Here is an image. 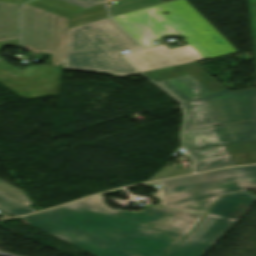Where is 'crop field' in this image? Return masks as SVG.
<instances>
[{
    "label": "crop field",
    "instance_id": "21",
    "mask_svg": "<svg viewBox=\"0 0 256 256\" xmlns=\"http://www.w3.org/2000/svg\"><path fill=\"white\" fill-rule=\"evenodd\" d=\"M0 1L20 4L28 0H0Z\"/></svg>",
    "mask_w": 256,
    "mask_h": 256
},
{
    "label": "crop field",
    "instance_id": "6",
    "mask_svg": "<svg viewBox=\"0 0 256 256\" xmlns=\"http://www.w3.org/2000/svg\"><path fill=\"white\" fill-rule=\"evenodd\" d=\"M183 138L196 172L256 163V121L186 130Z\"/></svg>",
    "mask_w": 256,
    "mask_h": 256
},
{
    "label": "crop field",
    "instance_id": "19",
    "mask_svg": "<svg viewBox=\"0 0 256 256\" xmlns=\"http://www.w3.org/2000/svg\"><path fill=\"white\" fill-rule=\"evenodd\" d=\"M63 1L75 4V5L83 7V8L102 4L101 0H63ZM93 1H95V2H93Z\"/></svg>",
    "mask_w": 256,
    "mask_h": 256
},
{
    "label": "crop field",
    "instance_id": "14",
    "mask_svg": "<svg viewBox=\"0 0 256 256\" xmlns=\"http://www.w3.org/2000/svg\"><path fill=\"white\" fill-rule=\"evenodd\" d=\"M19 5L0 2V41L18 38Z\"/></svg>",
    "mask_w": 256,
    "mask_h": 256
},
{
    "label": "crop field",
    "instance_id": "8",
    "mask_svg": "<svg viewBox=\"0 0 256 256\" xmlns=\"http://www.w3.org/2000/svg\"><path fill=\"white\" fill-rule=\"evenodd\" d=\"M235 222L206 215L167 256H202Z\"/></svg>",
    "mask_w": 256,
    "mask_h": 256
},
{
    "label": "crop field",
    "instance_id": "1",
    "mask_svg": "<svg viewBox=\"0 0 256 256\" xmlns=\"http://www.w3.org/2000/svg\"><path fill=\"white\" fill-rule=\"evenodd\" d=\"M103 194L23 217V222L96 256H164L205 214L148 206L115 211Z\"/></svg>",
    "mask_w": 256,
    "mask_h": 256
},
{
    "label": "crop field",
    "instance_id": "10",
    "mask_svg": "<svg viewBox=\"0 0 256 256\" xmlns=\"http://www.w3.org/2000/svg\"><path fill=\"white\" fill-rule=\"evenodd\" d=\"M26 5L68 19V28L108 17L103 4L83 9L60 0H34Z\"/></svg>",
    "mask_w": 256,
    "mask_h": 256
},
{
    "label": "crop field",
    "instance_id": "3",
    "mask_svg": "<svg viewBox=\"0 0 256 256\" xmlns=\"http://www.w3.org/2000/svg\"><path fill=\"white\" fill-rule=\"evenodd\" d=\"M163 10L158 11L156 8ZM170 12L169 15L160 14ZM114 16L121 25L144 48L153 46L151 42L160 36L177 35L188 37L185 41L204 59L237 53L186 0H173L134 12Z\"/></svg>",
    "mask_w": 256,
    "mask_h": 256
},
{
    "label": "crop field",
    "instance_id": "16",
    "mask_svg": "<svg viewBox=\"0 0 256 256\" xmlns=\"http://www.w3.org/2000/svg\"><path fill=\"white\" fill-rule=\"evenodd\" d=\"M0 192L20 201L28 206L33 204L21 189L15 187V186H12L2 180H0Z\"/></svg>",
    "mask_w": 256,
    "mask_h": 256
},
{
    "label": "crop field",
    "instance_id": "12",
    "mask_svg": "<svg viewBox=\"0 0 256 256\" xmlns=\"http://www.w3.org/2000/svg\"><path fill=\"white\" fill-rule=\"evenodd\" d=\"M255 200L246 192L221 196L208 214L237 221Z\"/></svg>",
    "mask_w": 256,
    "mask_h": 256
},
{
    "label": "crop field",
    "instance_id": "4",
    "mask_svg": "<svg viewBox=\"0 0 256 256\" xmlns=\"http://www.w3.org/2000/svg\"><path fill=\"white\" fill-rule=\"evenodd\" d=\"M140 47L109 18L69 29L63 67L102 71L113 75L137 73L120 57Z\"/></svg>",
    "mask_w": 256,
    "mask_h": 256
},
{
    "label": "crop field",
    "instance_id": "23",
    "mask_svg": "<svg viewBox=\"0 0 256 256\" xmlns=\"http://www.w3.org/2000/svg\"><path fill=\"white\" fill-rule=\"evenodd\" d=\"M1 48H2V47L0 46V50H1Z\"/></svg>",
    "mask_w": 256,
    "mask_h": 256
},
{
    "label": "crop field",
    "instance_id": "5",
    "mask_svg": "<svg viewBox=\"0 0 256 256\" xmlns=\"http://www.w3.org/2000/svg\"><path fill=\"white\" fill-rule=\"evenodd\" d=\"M152 184H160L162 188L156 189ZM143 185L158 191L151 195L160 199L162 207L206 212L221 194L255 188L256 165L227 168Z\"/></svg>",
    "mask_w": 256,
    "mask_h": 256
},
{
    "label": "crop field",
    "instance_id": "11",
    "mask_svg": "<svg viewBox=\"0 0 256 256\" xmlns=\"http://www.w3.org/2000/svg\"><path fill=\"white\" fill-rule=\"evenodd\" d=\"M61 69L51 68L29 86L2 81L5 87L22 98L35 99L58 93Z\"/></svg>",
    "mask_w": 256,
    "mask_h": 256
},
{
    "label": "crop field",
    "instance_id": "13",
    "mask_svg": "<svg viewBox=\"0 0 256 256\" xmlns=\"http://www.w3.org/2000/svg\"><path fill=\"white\" fill-rule=\"evenodd\" d=\"M49 67L36 66V67H26L23 70H18L12 67L7 62L0 61V81L7 80L11 82L21 83L29 85L44 72H46Z\"/></svg>",
    "mask_w": 256,
    "mask_h": 256
},
{
    "label": "crop field",
    "instance_id": "20",
    "mask_svg": "<svg viewBox=\"0 0 256 256\" xmlns=\"http://www.w3.org/2000/svg\"><path fill=\"white\" fill-rule=\"evenodd\" d=\"M0 45L3 46V47L4 46H9V45H18V39L0 42Z\"/></svg>",
    "mask_w": 256,
    "mask_h": 256
},
{
    "label": "crop field",
    "instance_id": "18",
    "mask_svg": "<svg viewBox=\"0 0 256 256\" xmlns=\"http://www.w3.org/2000/svg\"><path fill=\"white\" fill-rule=\"evenodd\" d=\"M248 1H249L253 45L255 49V58H256V0H248Z\"/></svg>",
    "mask_w": 256,
    "mask_h": 256
},
{
    "label": "crop field",
    "instance_id": "15",
    "mask_svg": "<svg viewBox=\"0 0 256 256\" xmlns=\"http://www.w3.org/2000/svg\"><path fill=\"white\" fill-rule=\"evenodd\" d=\"M0 209L4 212L16 216L35 212L33 209L0 193Z\"/></svg>",
    "mask_w": 256,
    "mask_h": 256
},
{
    "label": "crop field",
    "instance_id": "7",
    "mask_svg": "<svg viewBox=\"0 0 256 256\" xmlns=\"http://www.w3.org/2000/svg\"><path fill=\"white\" fill-rule=\"evenodd\" d=\"M67 20L24 5L22 7L21 46L32 52L52 54V64L63 61Z\"/></svg>",
    "mask_w": 256,
    "mask_h": 256
},
{
    "label": "crop field",
    "instance_id": "22",
    "mask_svg": "<svg viewBox=\"0 0 256 256\" xmlns=\"http://www.w3.org/2000/svg\"><path fill=\"white\" fill-rule=\"evenodd\" d=\"M107 1H111V0H105V2H107Z\"/></svg>",
    "mask_w": 256,
    "mask_h": 256
},
{
    "label": "crop field",
    "instance_id": "17",
    "mask_svg": "<svg viewBox=\"0 0 256 256\" xmlns=\"http://www.w3.org/2000/svg\"><path fill=\"white\" fill-rule=\"evenodd\" d=\"M191 172L192 171L190 168L178 170L176 166H167V167H164L163 169H161L158 173H156L154 176H152L149 180H155V179H160V178H165V177L188 174Z\"/></svg>",
    "mask_w": 256,
    "mask_h": 256
},
{
    "label": "crop field",
    "instance_id": "2",
    "mask_svg": "<svg viewBox=\"0 0 256 256\" xmlns=\"http://www.w3.org/2000/svg\"><path fill=\"white\" fill-rule=\"evenodd\" d=\"M144 74L183 103V130L256 120V88L230 92L197 62Z\"/></svg>",
    "mask_w": 256,
    "mask_h": 256
},
{
    "label": "crop field",
    "instance_id": "9",
    "mask_svg": "<svg viewBox=\"0 0 256 256\" xmlns=\"http://www.w3.org/2000/svg\"><path fill=\"white\" fill-rule=\"evenodd\" d=\"M125 58L141 72L203 59L189 45L171 50L161 45L131 53Z\"/></svg>",
    "mask_w": 256,
    "mask_h": 256
}]
</instances>
